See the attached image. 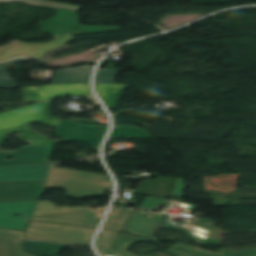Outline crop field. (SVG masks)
<instances>
[{
    "mask_svg": "<svg viewBox=\"0 0 256 256\" xmlns=\"http://www.w3.org/2000/svg\"><path fill=\"white\" fill-rule=\"evenodd\" d=\"M210 199H213L214 204L218 205V207L230 202L229 198H223L221 196H210Z\"/></svg>",
    "mask_w": 256,
    "mask_h": 256,
    "instance_id": "obj_29",
    "label": "crop field"
},
{
    "mask_svg": "<svg viewBox=\"0 0 256 256\" xmlns=\"http://www.w3.org/2000/svg\"><path fill=\"white\" fill-rule=\"evenodd\" d=\"M120 69H98L95 83L114 82Z\"/></svg>",
    "mask_w": 256,
    "mask_h": 256,
    "instance_id": "obj_24",
    "label": "crop field"
},
{
    "mask_svg": "<svg viewBox=\"0 0 256 256\" xmlns=\"http://www.w3.org/2000/svg\"><path fill=\"white\" fill-rule=\"evenodd\" d=\"M131 210L112 207L103 229L120 232Z\"/></svg>",
    "mask_w": 256,
    "mask_h": 256,
    "instance_id": "obj_16",
    "label": "crop field"
},
{
    "mask_svg": "<svg viewBox=\"0 0 256 256\" xmlns=\"http://www.w3.org/2000/svg\"><path fill=\"white\" fill-rule=\"evenodd\" d=\"M50 165L0 167V181L46 179Z\"/></svg>",
    "mask_w": 256,
    "mask_h": 256,
    "instance_id": "obj_11",
    "label": "crop field"
},
{
    "mask_svg": "<svg viewBox=\"0 0 256 256\" xmlns=\"http://www.w3.org/2000/svg\"><path fill=\"white\" fill-rule=\"evenodd\" d=\"M31 164H55V163L49 162V161L0 162V166L31 165Z\"/></svg>",
    "mask_w": 256,
    "mask_h": 256,
    "instance_id": "obj_26",
    "label": "crop field"
},
{
    "mask_svg": "<svg viewBox=\"0 0 256 256\" xmlns=\"http://www.w3.org/2000/svg\"><path fill=\"white\" fill-rule=\"evenodd\" d=\"M104 209L105 208H99L73 215L37 217L31 220L96 228Z\"/></svg>",
    "mask_w": 256,
    "mask_h": 256,
    "instance_id": "obj_10",
    "label": "crop field"
},
{
    "mask_svg": "<svg viewBox=\"0 0 256 256\" xmlns=\"http://www.w3.org/2000/svg\"><path fill=\"white\" fill-rule=\"evenodd\" d=\"M98 250L101 252L103 256H129L125 253H122L120 251H117L112 248V250H105V249H99Z\"/></svg>",
    "mask_w": 256,
    "mask_h": 256,
    "instance_id": "obj_28",
    "label": "crop field"
},
{
    "mask_svg": "<svg viewBox=\"0 0 256 256\" xmlns=\"http://www.w3.org/2000/svg\"><path fill=\"white\" fill-rule=\"evenodd\" d=\"M56 131L61 139L87 142L96 150L106 132V126H89L84 124L60 121Z\"/></svg>",
    "mask_w": 256,
    "mask_h": 256,
    "instance_id": "obj_7",
    "label": "crop field"
},
{
    "mask_svg": "<svg viewBox=\"0 0 256 256\" xmlns=\"http://www.w3.org/2000/svg\"><path fill=\"white\" fill-rule=\"evenodd\" d=\"M55 141L50 140L47 147L28 145L15 151L0 150V161H19V160H48ZM12 157L11 160H5Z\"/></svg>",
    "mask_w": 256,
    "mask_h": 256,
    "instance_id": "obj_12",
    "label": "crop field"
},
{
    "mask_svg": "<svg viewBox=\"0 0 256 256\" xmlns=\"http://www.w3.org/2000/svg\"><path fill=\"white\" fill-rule=\"evenodd\" d=\"M85 209H90V207L55 208L53 203H50L48 201H43V202L38 203L33 216L46 215V214H57V213H70V212H75V211H80V210H85Z\"/></svg>",
    "mask_w": 256,
    "mask_h": 256,
    "instance_id": "obj_17",
    "label": "crop field"
},
{
    "mask_svg": "<svg viewBox=\"0 0 256 256\" xmlns=\"http://www.w3.org/2000/svg\"><path fill=\"white\" fill-rule=\"evenodd\" d=\"M46 188L64 189L66 196L82 199L102 195L111 186L108 176L54 167Z\"/></svg>",
    "mask_w": 256,
    "mask_h": 256,
    "instance_id": "obj_1",
    "label": "crop field"
},
{
    "mask_svg": "<svg viewBox=\"0 0 256 256\" xmlns=\"http://www.w3.org/2000/svg\"><path fill=\"white\" fill-rule=\"evenodd\" d=\"M25 60H29V59H16L5 64H0V88L13 89L18 87L16 82L10 80L7 74V69L16 63L25 61Z\"/></svg>",
    "mask_w": 256,
    "mask_h": 256,
    "instance_id": "obj_21",
    "label": "crop field"
},
{
    "mask_svg": "<svg viewBox=\"0 0 256 256\" xmlns=\"http://www.w3.org/2000/svg\"><path fill=\"white\" fill-rule=\"evenodd\" d=\"M219 256H256V249H249L243 251L220 249Z\"/></svg>",
    "mask_w": 256,
    "mask_h": 256,
    "instance_id": "obj_25",
    "label": "crop field"
},
{
    "mask_svg": "<svg viewBox=\"0 0 256 256\" xmlns=\"http://www.w3.org/2000/svg\"><path fill=\"white\" fill-rule=\"evenodd\" d=\"M38 201L0 202V227L26 230ZM14 213L20 216L12 215Z\"/></svg>",
    "mask_w": 256,
    "mask_h": 256,
    "instance_id": "obj_4",
    "label": "crop field"
},
{
    "mask_svg": "<svg viewBox=\"0 0 256 256\" xmlns=\"http://www.w3.org/2000/svg\"><path fill=\"white\" fill-rule=\"evenodd\" d=\"M48 180L0 182V201L40 199Z\"/></svg>",
    "mask_w": 256,
    "mask_h": 256,
    "instance_id": "obj_6",
    "label": "crop field"
},
{
    "mask_svg": "<svg viewBox=\"0 0 256 256\" xmlns=\"http://www.w3.org/2000/svg\"><path fill=\"white\" fill-rule=\"evenodd\" d=\"M50 101L0 113V130L38 121L56 127L59 119L49 114Z\"/></svg>",
    "mask_w": 256,
    "mask_h": 256,
    "instance_id": "obj_3",
    "label": "crop field"
},
{
    "mask_svg": "<svg viewBox=\"0 0 256 256\" xmlns=\"http://www.w3.org/2000/svg\"><path fill=\"white\" fill-rule=\"evenodd\" d=\"M185 178L176 179L175 187L170 197H174L175 195H179L178 197L181 198L183 191L185 189V184H183Z\"/></svg>",
    "mask_w": 256,
    "mask_h": 256,
    "instance_id": "obj_27",
    "label": "crop field"
},
{
    "mask_svg": "<svg viewBox=\"0 0 256 256\" xmlns=\"http://www.w3.org/2000/svg\"><path fill=\"white\" fill-rule=\"evenodd\" d=\"M168 251L181 254L184 256H216V253L204 251L201 249L193 248L190 246L182 245L176 243L171 248L168 249Z\"/></svg>",
    "mask_w": 256,
    "mask_h": 256,
    "instance_id": "obj_20",
    "label": "crop field"
},
{
    "mask_svg": "<svg viewBox=\"0 0 256 256\" xmlns=\"http://www.w3.org/2000/svg\"><path fill=\"white\" fill-rule=\"evenodd\" d=\"M14 131L23 133L17 138L25 140L29 142V144L46 146L49 141V139L45 138L44 136L30 130L28 125H25V126L13 128V129L5 130V131H0V146L4 143L6 139V137L3 135L10 132H14Z\"/></svg>",
    "mask_w": 256,
    "mask_h": 256,
    "instance_id": "obj_15",
    "label": "crop field"
},
{
    "mask_svg": "<svg viewBox=\"0 0 256 256\" xmlns=\"http://www.w3.org/2000/svg\"><path fill=\"white\" fill-rule=\"evenodd\" d=\"M194 222L207 224L211 226L215 225V222H212L211 220H205L198 217H193L187 220L186 222L179 223V224L172 223L170 222L169 218H165L159 227L185 233L189 238H191L196 243L205 245V246H208L210 244L217 245L220 242V240H217L208 236L207 233H209V230H205L194 225L193 224Z\"/></svg>",
    "mask_w": 256,
    "mask_h": 256,
    "instance_id": "obj_8",
    "label": "crop field"
},
{
    "mask_svg": "<svg viewBox=\"0 0 256 256\" xmlns=\"http://www.w3.org/2000/svg\"><path fill=\"white\" fill-rule=\"evenodd\" d=\"M110 137H149L148 133L133 126H114Z\"/></svg>",
    "mask_w": 256,
    "mask_h": 256,
    "instance_id": "obj_19",
    "label": "crop field"
},
{
    "mask_svg": "<svg viewBox=\"0 0 256 256\" xmlns=\"http://www.w3.org/2000/svg\"><path fill=\"white\" fill-rule=\"evenodd\" d=\"M137 241H152L144 238H139L131 235H124V234H119L117 240L115 241L113 248L118 249L122 252H125L131 256H136L132 253L127 252V248L133 244L134 242Z\"/></svg>",
    "mask_w": 256,
    "mask_h": 256,
    "instance_id": "obj_22",
    "label": "crop field"
},
{
    "mask_svg": "<svg viewBox=\"0 0 256 256\" xmlns=\"http://www.w3.org/2000/svg\"><path fill=\"white\" fill-rule=\"evenodd\" d=\"M162 218L163 216L160 214L134 210L124 231L151 238L155 228L159 225Z\"/></svg>",
    "mask_w": 256,
    "mask_h": 256,
    "instance_id": "obj_9",
    "label": "crop field"
},
{
    "mask_svg": "<svg viewBox=\"0 0 256 256\" xmlns=\"http://www.w3.org/2000/svg\"><path fill=\"white\" fill-rule=\"evenodd\" d=\"M119 233L102 230L99 238L96 241V247L111 249L114 241Z\"/></svg>",
    "mask_w": 256,
    "mask_h": 256,
    "instance_id": "obj_23",
    "label": "crop field"
},
{
    "mask_svg": "<svg viewBox=\"0 0 256 256\" xmlns=\"http://www.w3.org/2000/svg\"><path fill=\"white\" fill-rule=\"evenodd\" d=\"M25 102L53 99L67 95L90 96L88 84H61L45 87H22Z\"/></svg>",
    "mask_w": 256,
    "mask_h": 256,
    "instance_id": "obj_5",
    "label": "crop field"
},
{
    "mask_svg": "<svg viewBox=\"0 0 256 256\" xmlns=\"http://www.w3.org/2000/svg\"><path fill=\"white\" fill-rule=\"evenodd\" d=\"M13 1L25 2L27 4L41 6V7H47V8H52V9L64 8V9H68V10L78 11L81 8L80 6H75V5L65 4V3H58V2H48V1H42V0H0V2H4V3H10Z\"/></svg>",
    "mask_w": 256,
    "mask_h": 256,
    "instance_id": "obj_18",
    "label": "crop field"
},
{
    "mask_svg": "<svg viewBox=\"0 0 256 256\" xmlns=\"http://www.w3.org/2000/svg\"><path fill=\"white\" fill-rule=\"evenodd\" d=\"M93 66H81L55 71L52 84L89 83Z\"/></svg>",
    "mask_w": 256,
    "mask_h": 256,
    "instance_id": "obj_13",
    "label": "crop field"
},
{
    "mask_svg": "<svg viewBox=\"0 0 256 256\" xmlns=\"http://www.w3.org/2000/svg\"><path fill=\"white\" fill-rule=\"evenodd\" d=\"M99 97L111 108H115L120 97L128 86L116 83L95 84Z\"/></svg>",
    "mask_w": 256,
    "mask_h": 256,
    "instance_id": "obj_14",
    "label": "crop field"
},
{
    "mask_svg": "<svg viewBox=\"0 0 256 256\" xmlns=\"http://www.w3.org/2000/svg\"><path fill=\"white\" fill-rule=\"evenodd\" d=\"M25 231L0 228V256H58L66 244L23 238ZM73 246V245H69Z\"/></svg>",
    "mask_w": 256,
    "mask_h": 256,
    "instance_id": "obj_2",
    "label": "crop field"
}]
</instances>
